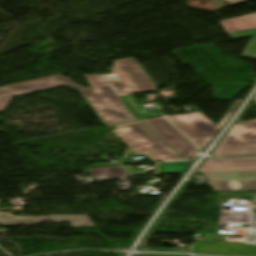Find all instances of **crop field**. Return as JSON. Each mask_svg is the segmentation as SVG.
Listing matches in <instances>:
<instances>
[{
	"mask_svg": "<svg viewBox=\"0 0 256 256\" xmlns=\"http://www.w3.org/2000/svg\"><path fill=\"white\" fill-rule=\"evenodd\" d=\"M242 56L256 59V37H252Z\"/></svg>",
	"mask_w": 256,
	"mask_h": 256,
	"instance_id": "22f410ed",
	"label": "crop field"
},
{
	"mask_svg": "<svg viewBox=\"0 0 256 256\" xmlns=\"http://www.w3.org/2000/svg\"><path fill=\"white\" fill-rule=\"evenodd\" d=\"M68 83L74 89L81 88L62 75H53L33 81L0 88V112H4L12 97L34 92L37 90Z\"/></svg>",
	"mask_w": 256,
	"mask_h": 256,
	"instance_id": "f4fd0767",
	"label": "crop field"
},
{
	"mask_svg": "<svg viewBox=\"0 0 256 256\" xmlns=\"http://www.w3.org/2000/svg\"><path fill=\"white\" fill-rule=\"evenodd\" d=\"M224 1H226L229 5L233 6V5L243 3V2H246L249 0H224Z\"/></svg>",
	"mask_w": 256,
	"mask_h": 256,
	"instance_id": "5142ce71",
	"label": "crop field"
},
{
	"mask_svg": "<svg viewBox=\"0 0 256 256\" xmlns=\"http://www.w3.org/2000/svg\"><path fill=\"white\" fill-rule=\"evenodd\" d=\"M256 154V119L235 124L211 153L215 156Z\"/></svg>",
	"mask_w": 256,
	"mask_h": 256,
	"instance_id": "412701ff",
	"label": "crop field"
},
{
	"mask_svg": "<svg viewBox=\"0 0 256 256\" xmlns=\"http://www.w3.org/2000/svg\"><path fill=\"white\" fill-rule=\"evenodd\" d=\"M145 123L186 159L198 151L195 145L162 117L116 125L118 130L112 132L136 154H145L152 161L184 158L145 126Z\"/></svg>",
	"mask_w": 256,
	"mask_h": 256,
	"instance_id": "ac0d7876",
	"label": "crop field"
},
{
	"mask_svg": "<svg viewBox=\"0 0 256 256\" xmlns=\"http://www.w3.org/2000/svg\"><path fill=\"white\" fill-rule=\"evenodd\" d=\"M90 173L91 177L96 176V179L116 178L127 175L123 166L90 168Z\"/></svg>",
	"mask_w": 256,
	"mask_h": 256,
	"instance_id": "28ad6ade",
	"label": "crop field"
},
{
	"mask_svg": "<svg viewBox=\"0 0 256 256\" xmlns=\"http://www.w3.org/2000/svg\"><path fill=\"white\" fill-rule=\"evenodd\" d=\"M227 33L256 27V13L222 22Z\"/></svg>",
	"mask_w": 256,
	"mask_h": 256,
	"instance_id": "3316defc",
	"label": "crop field"
},
{
	"mask_svg": "<svg viewBox=\"0 0 256 256\" xmlns=\"http://www.w3.org/2000/svg\"><path fill=\"white\" fill-rule=\"evenodd\" d=\"M202 175L217 191L256 189V172Z\"/></svg>",
	"mask_w": 256,
	"mask_h": 256,
	"instance_id": "dd49c442",
	"label": "crop field"
},
{
	"mask_svg": "<svg viewBox=\"0 0 256 256\" xmlns=\"http://www.w3.org/2000/svg\"><path fill=\"white\" fill-rule=\"evenodd\" d=\"M228 35L230 36V38H235V37L244 36V35H256V28L245 30V31L229 33Z\"/></svg>",
	"mask_w": 256,
	"mask_h": 256,
	"instance_id": "cbeb9de0",
	"label": "crop field"
},
{
	"mask_svg": "<svg viewBox=\"0 0 256 256\" xmlns=\"http://www.w3.org/2000/svg\"><path fill=\"white\" fill-rule=\"evenodd\" d=\"M43 221L70 222L71 226L94 227L88 215H51L49 217H14L9 212L0 213L1 226L36 225Z\"/></svg>",
	"mask_w": 256,
	"mask_h": 256,
	"instance_id": "e52e79f7",
	"label": "crop field"
},
{
	"mask_svg": "<svg viewBox=\"0 0 256 256\" xmlns=\"http://www.w3.org/2000/svg\"><path fill=\"white\" fill-rule=\"evenodd\" d=\"M137 256H177V255H154V254H141Z\"/></svg>",
	"mask_w": 256,
	"mask_h": 256,
	"instance_id": "d9b57169",
	"label": "crop field"
},
{
	"mask_svg": "<svg viewBox=\"0 0 256 256\" xmlns=\"http://www.w3.org/2000/svg\"><path fill=\"white\" fill-rule=\"evenodd\" d=\"M84 76L92 88L80 90L106 125L135 119L120 96L157 91L133 58L115 61L109 75Z\"/></svg>",
	"mask_w": 256,
	"mask_h": 256,
	"instance_id": "8a807250",
	"label": "crop field"
},
{
	"mask_svg": "<svg viewBox=\"0 0 256 256\" xmlns=\"http://www.w3.org/2000/svg\"><path fill=\"white\" fill-rule=\"evenodd\" d=\"M256 96V95H255ZM255 99V101H256V97L254 98Z\"/></svg>",
	"mask_w": 256,
	"mask_h": 256,
	"instance_id": "4a817a6b",
	"label": "crop field"
},
{
	"mask_svg": "<svg viewBox=\"0 0 256 256\" xmlns=\"http://www.w3.org/2000/svg\"><path fill=\"white\" fill-rule=\"evenodd\" d=\"M240 102L241 100H236L234 105L217 127L201 112L169 117L167 119L171 121L177 128H179L184 134H186L191 140H193L201 149H203L214 134L219 130V128L232 115Z\"/></svg>",
	"mask_w": 256,
	"mask_h": 256,
	"instance_id": "34b2d1b8",
	"label": "crop field"
},
{
	"mask_svg": "<svg viewBox=\"0 0 256 256\" xmlns=\"http://www.w3.org/2000/svg\"><path fill=\"white\" fill-rule=\"evenodd\" d=\"M192 251L242 256H256L255 245H243L233 243L196 242Z\"/></svg>",
	"mask_w": 256,
	"mask_h": 256,
	"instance_id": "5a996713",
	"label": "crop field"
},
{
	"mask_svg": "<svg viewBox=\"0 0 256 256\" xmlns=\"http://www.w3.org/2000/svg\"><path fill=\"white\" fill-rule=\"evenodd\" d=\"M192 161L158 164V169L164 173H185Z\"/></svg>",
	"mask_w": 256,
	"mask_h": 256,
	"instance_id": "d1516ede",
	"label": "crop field"
},
{
	"mask_svg": "<svg viewBox=\"0 0 256 256\" xmlns=\"http://www.w3.org/2000/svg\"><path fill=\"white\" fill-rule=\"evenodd\" d=\"M66 85V84H65ZM62 86V85H61ZM67 86V85H66ZM58 87V86H57ZM54 88V87H53ZM50 89V88H49ZM46 90V89H45Z\"/></svg>",
	"mask_w": 256,
	"mask_h": 256,
	"instance_id": "733c2abd",
	"label": "crop field"
},
{
	"mask_svg": "<svg viewBox=\"0 0 256 256\" xmlns=\"http://www.w3.org/2000/svg\"><path fill=\"white\" fill-rule=\"evenodd\" d=\"M256 171V156L232 159H207L196 173Z\"/></svg>",
	"mask_w": 256,
	"mask_h": 256,
	"instance_id": "d8731c3e",
	"label": "crop field"
}]
</instances>
